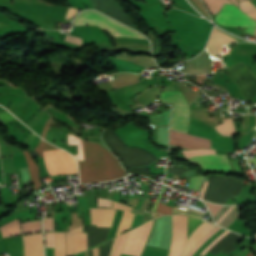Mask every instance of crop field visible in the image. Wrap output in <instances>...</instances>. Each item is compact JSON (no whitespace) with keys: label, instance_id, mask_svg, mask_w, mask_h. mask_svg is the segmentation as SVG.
<instances>
[{"label":"crop field","instance_id":"obj_1","mask_svg":"<svg viewBox=\"0 0 256 256\" xmlns=\"http://www.w3.org/2000/svg\"><path fill=\"white\" fill-rule=\"evenodd\" d=\"M85 162H79L81 183L106 181L125 175L119 161L99 145L83 141Z\"/></svg>","mask_w":256,"mask_h":256},{"label":"crop field","instance_id":"obj_2","mask_svg":"<svg viewBox=\"0 0 256 256\" xmlns=\"http://www.w3.org/2000/svg\"><path fill=\"white\" fill-rule=\"evenodd\" d=\"M75 25H105V26L125 27L95 11H84L80 13L79 16L75 19ZM105 26H99V27L106 30L112 36L144 38L143 35L129 28L105 27Z\"/></svg>","mask_w":256,"mask_h":256},{"label":"crop field","instance_id":"obj_3","mask_svg":"<svg viewBox=\"0 0 256 256\" xmlns=\"http://www.w3.org/2000/svg\"><path fill=\"white\" fill-rule=\"evenodd\" d=\"M184 156L204 170H221L223 172H234L228 162L227 155H216L215 150H182Z\"/></svg>","mask_w":256,"mask_h":256},{"label":"crop field","instance_id":"obj_4","mask_svg":"<svg viewBox=\"0 0 256 256\" xmlns=\"http://www.w3.org/2000/svg\"><path fill=\"white\" fill-rule=\"evenodd\" d=\"M154 220V219H153ZM153 220L128 231L122 252L140 256L148 239Z\"/></svg>","mask_w":256,"mask_h":256},{"label":"crop field","instance_id":"obj_5","mask_svg":"<svg viewBox=\"0 0 256 256\" xmlns=\"http://www.w3.org/2000/svg\"><path fill=\"white\" fill-rule=\"evenodd\" d=\"M215 21L230 26H256V21L245 15L234 5L225 4L223 10L215 17Z\"/></svg>","mask_w":256,"mask_h":256},{"label":"crop field","instance_id":"obj_6","mask_svg":"<svg viewBox=\"0 0 256 256\" xmlns=\"http://www.w3.org/2000/svg\"><path fill=\"white\" fill-rule=\"evenodd\" d=\"M173 240L169 256H179L187 238V216L172 215Z\"/></svg>","mask_w":256,"mask_h":256},{"label":"crop field","instance_id":"obj_7","mask_svg":"<svg viewBox=\"0 0 256 256\" xmlns=\"http://www.w3.org/2000/svg\"><path fill=\"white\" fill-rule=\"evenodd\" d=\"M82 232V227L68 232H55L56 248L54 256H68L73 254L72 233Z\"/></svg>","mask_w":256,"mask_h":256},{"label":"crop field","instance_id":"obj_8","mask_svg":"<svg viewBox=\"0 0 256 256\" xmlns=\"http://www.w3.org/2000/svg\"><path fill=\"white\" fill-rule=\"evenodd\" d=\"M189 124V108L185 104H174L172 129L186 132Z\"/></svg>","mask_w":256,"mask_h":256},{"label":"crop field","instance_id":"obj_9","mask_svg":"<svg viewBox=\"0 0 256 256\" xmlns=\"http://www.w3.org/2000/svg\"><path fill=\"white\" fill-rule=\"evenodd\" d=\"M24 256H44L42 233L23 236Z\"/></svg>","mask_w":256,"mask_h":256},{"label":"crop field","instance_id":"obj_10","mask_svg":"<svg viewBox=\"0 0 256 256\" xmlns=\"http://www.w3.org/2000/svg\"><path fill=\"white\" fill-rule=\"evenodd\" d=\"M237 42L223 31L214 28L209 43L207 45V50L210 54H220V48L226 43Z\"/></svg>","mask_w":256,"mask_h":256},{"label":"crop field","instance_id":"obj_11","mask_svg":"<svg viewBox=\"0 0 256 256\" xmlns=\"http://www.w3.org/2000/svg\"><path fill=\"white\" fill-rule=\"evenodd\" d=\"M216 225L204 221L190 236L187 244L184 247V250L181 256H187L188 253L195 247V245L201 240V238L214 229ZM205 237V236H204Z\"/></svg>","mask_w":256,"mask_h":256},{"label":"crop field","instance_id":"obj_12","mask_svg":"<svg viewBox=\"0 0 256 256\" xmlns=\"http://www.w3.org/2000/svg\"><path fill=\"white\" fill-rule=\"evenodd\" d=\"M115 211L114 209H90L92 224L100 227H111Z\"/></svg>","mask_w":256,"mask_h":256},{"label":"crop field","instance_id":"obj_13","mask_svg":"<svg viewBox=\"0 0 256 256\" xmlns=\"http://www.w3.org/2000/svg\"><path fill=\"white\" fill-rule=\"evenodd\" d=\"M240 235L234 234V233H228L226 236H224L220 241H218L217 244H215L209 252H212L214 254H218L220 251L224 253H231L234 250L237 249V247H234L233 244L240 238Z\"/></svg>","mask_w":256,"mask_h":256},{"label":"crop field","instance_id":"obj_14","mask_svg":"<svg viewBox=\"0 0 256 256\" xmlns=\"http://www.w3.org/2000/svg\"><path fill=\"white\" fill-rule=\"evenodd\" d=\"M112 208L124 210L122 218H121L119 226H118L117 233H116V236H118V235H120L121 231H123L131 226L135 215L130 213V211L132 209L131 207L124 206L118 202L113 201Z\"/></svg>","mask_w":256,"mask_h":256},{"label":"crop field","instance_id":"obj_15","mask_svg":"<svg viewBox=\"0 0 256 256\" xmlns=\"http://www.w3.org/2000/svg\"><path fill=\"white\" fill-rule=\"evenodd\" d=\"M23 152H24V155L26 157L27 165H28L29 170H30L33 185H34L35 189H38V188L41 187V183H40L39 178H38L39 168L37 167V165L35 164L33 159H31L28 152L27 151H23Z\"/></svg>","mask_w":256,"mask_h":256},{"label":"crop field","instance_id":"obj_16","mask_svg":"<svg viewBox=\"0 0 256 256\" xmlns=\"http://www.w3.org/2000/svg\"><path fill=\"white\" fill-rule=\"evenodd\" d=\"M0 230L4 237L22 234L18 219L0 227Z\"/></svg>","mask_w":256,"mask_h":256},{"label":"crop field","instance_id":"obj_17","mask_svg":"<svg viewBox=\"0 0 256 256\" xmlns=\"http://www.w3.org/2000/svg\"><path fill=\"white\" fill-rule=\"evenodd\" d=\"M74 254L87 249V233L73 234Z\"/></svg>","mask_w":256,"mask_h":256},{"label":"crop field","instance_id":"obj_18","mask_svg":"<svg viewBox=\"0 0 256 256\" xmlns=\"http://www.w3.org/2000/svg\"><path fill=\"white\" fill-rule=\"evenodd\" d=\"M224 123L215 126V129L223 136H231L235 134L232 118L223 119Z\"/></svg>","mask_w":256,"mask_h":256},{"label":"crop field","instance_id":"obj_19","mask_svg":"<svg viewBox=\"0 0 256 256\" xmlns=\"http://www.w3.org/2000/svg\"><path fill=\"white\" fill-rule=\"evenodd\" d=\"M160 99L166 102H183L187 103L181 92H163Z\"/></svg>","mask_w":256,"mask_h":256},{"label":"crop field","instance_id":"obj_20","mask_svg":"<svg viewBox=\"0 0 256 256\" xmlns=\"http://www.w3.org/2000/svg\"><path fill=\"white\" fill-rule=\"evenodd\" d=\"M245 206V205H244ZM242 206H237L219 225L228 228V226L242 213L240 210L242 209ZM237 213H239L237 216H235Z\"/></svg>","mask_w":256,"mask_h":256},{"label":"crop field","instance_id":"obj_21","mask_svg":"<svg viewBox=\"0 0 256 256\" xmlns=\"http://www.w3.org/2000/svg\"><path fill=\"white\" fill-rule=\"evenodd\" d=\"M207 6L209 7L211 13H216L220 10L223 2L231 3L228 0H204Z\"/></svg>","mask_w":256,"mask_h":256},{"label":"crop field","instance_id":"obj_22","mask_svg":"<svg viewBox=\"0 0 256 256\" xmlns=\"http://www.w3.org/2000/svg\"><path fill=\"white\" fill-rule=\"evenodd\" d=\"M21 225L24 233L40 231V221L27 222Z\"/></svg>","mask_w":256,"mask_h":256},{"label":"crop field","instance_id":"obj_23","mask_svg":"<svg viewBox=\"0 0 256 256\" xmlns=\"http://www.w3.org/2000/svg\"><path fill=\"white\" fill-rule=\"evenodd\" d=\"M203 220L188 216V236L197 228Z\"/></svg>","mask_w":256,"mask_h":256},{"label":"crop field","instance_id":"obj_24","mask_svg":"<svg viewBox=\"0 0 256 256\" xmlns=\"http://www.w3.org/2000/svg\"><path fill=\"white\" fill-rule=\"evenodd\" d=\"M203 177L204 176L191 177L188 188L199 191V187L202 183Z\"/></svg>","mask_w":256,"mask_h":256},{"label":"crop field","instance_id":"obj_25","mask_svg":"<svg viewBox=\"0 0 256 256\" xmlns=\"http://www.w3.org/2000/svg\"><path fill=\"white\" fill-rule=\"evenodd\" d=\"M220 229V227H216L214 230H212L210 233H208L205 237H203V239L198 243V245L192 250V252L189 254V256H192V254L195 252V250L201 246L204 242H206L213 234H215L218 230Z\"/></svg>","mask_w":256,"mask_h":256},{"label":"crop field","instance_id":"obj_26","mask_svg":"<svg viewBox=\"0 0 256 256\" xmlns=\"http://www.w3.org/2000/svg\"><path fill=\"white\" fill-rule=\"evenodd\" d=\"M240 8L244 12H255L256 7H254L249 1L240 2Z\"/></svg>","mask_w":256,"mask_h":256},{"label":"crop field","instance_id":"obj_27","mask_svg":"<svg viewBox=\"0 0 256 256\" xmlns=\"http://www.w3.org/2000/svg\"><path fill=\"white\" fill-rule=\"evenodd\" d=\"M56 147L50 145V144H47V143H39L38 146L36 147V151L37 153L39 154L40 157H43V154H42V150H47V149H55Z\"/></svg>","mask_w":256,"mask_h":256},{"label":"crop field","instance_id":"obj_28","mask_svg":"<svg viewBox=\"0 0 256 256\" xmlns=\"http://www.w3.org/2000/svg\"><path fill=\"white\" fill-rule=\"evenodd\" d=\"M44 231H54L53 218H44Z\"/></svg>","mask_w":256,"mask_h":256},{"label":"crop field","instance_id":"obj_29","mask_svg":"<svg viewBox=\"0 0 256 256\" xmlns=\"http://www.w3.org/2000/svg\"><path fill=\"white\" fill-rule=\"evenodd\" d=\"M46 247H55L54 233H45Z\"/></svg>","mask_w":256,"mask_h":256},{"label":"crop field","instance_id":"obj_30","mask_svg":"<svg viewBox=\"0 0 256 256\" xmlns=\"http://www.w3.org/2000/svg\"><path fill=\"white\" fill-rule=\"evenodd\" d=\"M0 119L3 123L17 120L11 114H9L7 111L0 112Z\"/></svg>","mask_w":256,"mask_h":256},{"label":"crop field","instance_id":"obj_31","mask_svg":"<svg viewBox=\"0 0 256 256\" xmlns=\"http://www.w3.org/2000/svg\"><path fill=\"white\" fill-rule=\"evenodd\" d=\"M172 209H173L172 207H169V206L159 203L156 212H161L163 214H171Z\"/></svg>","mask_w":256,"mask_h":256},{"label":"crop field","instance_id":"obj_32","mask_svg":"<svg viewBox=\"0 0 256 256\" xmlns=\"http://www.w3.org/2000/svg\"><path fill=\"white\" fill-rule=\"evenodd\" d=\"M205 202V201H204ZM207 205H208V207H209V209H210V211H211V214L213 215V217L215 216V214L223 207V206H218V205H215V204H210V203H207V202H205Z\"/></svg>","mask_w":256,"mask_h":256},{"label":"crop field","instance_id":"obj_33","mask_svg":"<svg viewBox=\"0 0 256 256\" xmlns=\"http://www.w3.org/2000/svg\"><path fill=\"white\" fill-rule=\"evenodd\" d=\"M126 236H127V233L121 235L120 242H119V245L117 247V250H116L114 256H120V251H121V248L123 246V243H124V240H125Z\"/></svg>","mask_w":256,"mask_h":256},{"label":"crop field","instance_id":"obj_34","mask_svg":"<svg viewBox=\"0 0 256 256\" xmlns=\"http://www.w3.org/2000/svg\"><path fill=\"white\" fill-rule=\"evenodd\" d=\"M65 40L69 41L71 43L79 44V45H81V42H82V39L74 37V36L69 35V34L67 35Z\"/></svg>","mask_w":256,"mask_h":256},{"label":"crop field","instance_id":"obj_35","mask_svg":"<svg viewBox=\"0 0 256 256\" xmlns=\"http://www.w3.org/2000/svg\"><path fill=\"white\" fill-rule=\"evenodd\" d=\"M77 11H78V9L70 7L68 12H67L66 18H72Z\"/></svg>","mask_w":256,"mask_h":256},{"label":"crop field","instance_id":"obj_36","mask_svg":"<svg viewBox=\"0 0 256 256\" xmlns=\"http://www.w3.org/2000/svg\"><path fill=\"white\" fill-rule=\"evenodd\" d=\"M171 132L177 133V134H181V135H185V136H189V137H193V138H197V139H201V140H205V141H209V142H210L209 139H205V138H201V137H197V136H193V135H189V134H185V133H181V132H177V131H173V130H171Z\"/></svg>","mask_w":256,"mask_h":256},{"label":"crop field","instance_id":"obj_37","mask_svg":"<svg viewBox=\"0 0 256 256\" xmlns=\"http://www.w3.org/2000/svg\"><path fill=\"white\" fill-rule=\"evenodd\" d=\"M35 136L36 135L32 132L31 135L28 137V139L25 141L24 145L29 146V144L32 142Z\"/></svg>","mask_w":256,"mask_h":256},{"label":"crop field","instance_id":"obj_38","mask_svg":"<svg viewBox=\"0 0 256 256\" xmlns=\"http://www.w3.org/2000/svg\"><path fill=\"white\" fill-rule=\"evenodd\" d=\"M235 206H231L221 217L220 219L216 222V223H220L224 218L225 216L234 208Z\"/></svg>","mask_w":256,"mask_h":256},{"label":"crop field","instance_id":"obj_39","mask_svg":"<svg viewBox=\"0 0 256 256\" xmlns=\"http://www.w3.org/2000/svg\"><path fill=\"white\" fill-rule=\"evenodd\" d=\"M165 190H166V188H165V187H163V189H162V191H161V193H160V195H159V197H158V199H157V201H156V203H155V205H154V207H153V209H152V211H153V212H155V210H156V206H157V203H158V201L160 200V198H161V196H162L163 191H165Z\"/></svg>","mask_w":256,"mask_h":256},{"label":"crop field","instance_id":"obj_40","mask_svg":"<svg viewBox=\"0 0 256 256\" xmlns=\"http://www.w3.org/2000/svg\"><path fill=\"white\" fill-rule=\"evenodd\" d=\"M118 238H119V237H118ZM118 238H116V239L114 240V243H113V247H112L110 256H113V254H114V251H115V248H116V245H117Z\"/></svg>","mask_w":256,"mask_h":256},{"label":"crop field","instance_id":"obj_41","mask_svg":"<svg viewBox=\"0 0 256 256\" xmlns=\"http://www.w3.org/2000/svg\"><path fill=\"white\" fill-rule=\"evenodd\" d=\"M256 27L247 28L246 32L252 34L254 36Z\"/></svg>","mask_w":256,"mask_h":256},{"label":"crop field","instance_id":"obj_42","mask_svg":"<svg viewBox=\"0 0 256 256\" xmlns=\"http://www.w3.org/2000/svg\"><path fill=\"white\" fill-rule=\"evenodd\" d=\"M207 183H208V182H205V183H204V186H203V188H202L201 196H200L201 199L203 198V194H204V191H205V189H206Z\"/></svg>","mask_w":256,"mask_h":256},{"label":"crop field","instance_id":"obj_43","mask_svg":"<svg viewBox=\"0 0 256 256\" xmlns=\"http://www.w3.org/2000/svg\"><path fill=\"white\" fill-rule=\"evenodd\" d=\"M227 206H224L217 214L216 216L214 217V219H216L218 217V215L226 208Z\"/></svg>","mask_w":256,"mask_h":256},{"label":"crop field","instance_id":"obj_44","mask_svg":"<svg viewBox=\"0 0 256 256\" xmlns=\"http://www.w3.org/2000/svg\"><path fill=\"white\" fill-rule=\"evenodd\" d=\"M249 163L253 162L256 166V158H251V159H248Z\"/></svg>","mask_w":256,"mask_h":256},{"label":"crop field","instance_id":"obj_45","mask_svg":"<svg viewBox=\"0 0 256 256\" xmlns=\"http://www.w3.org/2000/svg\"><path fill=\"white\" fill-rule=\"evenodd\" d=\"M249 15L253 16L256 19V14H249Z\"/></svg>","mask_w":256,"mask_h":256},{"label":"crop field","instance_id":"obj_46","mask_svg":"<svg viewBox=\"0 0 256 256\" xmlns=\"http://www.w3.org/2000/svg\"><path fill=\"white\" fill-rule=\"evenodd\" d=\"M232 1L235 3V5H238L237 0H232Z\"/></svg>","mask_w":256,"mask_h":256},{"label":"crop field","instance_id":"obj_47","mask_svg":"<svg viewBox=\"0 0 256 256\" xmlns=\"http://www.w3.org/2000/svg\"><path fill=\"white\" fill-rule=\"evenodd\" d=\"M247 256H251L250 252L248 253V255H247Z\"/></svg>","mask_w":256,"mask_h":256}]
</instances>
